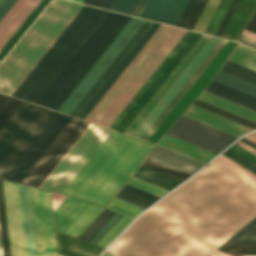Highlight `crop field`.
Segmentation results:
<instances>
[{"instance_id": "obj_1", "label": "crop field", "mask_w": 256, "mask_h": 256, "mask_svg": "<svg viewBox=\"0 0 256 256\" xmlns=\"http://www.w3.org/2000/svg\"><path fill=\"white\" fill-rule=\"evenodd\" d=\"M256 215V175L220 155L140 216L114 256H205Z\"/></svg>"}, {"instance_id": "obj_2", "label": "crop field", "mask_w": 256, "mask_h": 256, "mask_svg": "<svg viewBox=\"0 0 256 256\" xmlns=\"http://www.w3.org/2000/svg\"><path fill=\"white\" fill-rule=\"evenodd\" d=\"M185 32L161 24L85 120L109 128ZM201 36L186 32L110 129L125 131Z\"/></svg>"}, {"instance_id": "obj_3", "label": "crop field", "mask_w": 256, "mask_h": 256, "mask_svg": "<svg viewBox=\"0 0 256 256\" xmlns=\"http://www.w3.org/2000/svg\"><path fill=\"white\" fill-rule=\"evenodd\" d=\"M210 36L203 35L202 38L197 42L193 49L188 53L180 65L175 69L171 76L166 80L162 87L157 91L153 98L148 102L140 114L135 118L131 125L126 129L125 133L132 134V132L137 128L141 121L146 117L150 110L155 106L159 99L164 95L168 88L173 84L177 77L182 73L186 66L191 62L195 55L200 51L204 44L209 40ZM219 38L211 37L210 40L205 44L201 51L196 55L192 62L187 66L183 73L178 77L174 84L169 88L165 95L160 99L156 106L151 110L147 117L142 121L138 128L133 132V136L141 138L146 130L151 126L163 109L168 105L180 88L185 84L193 72L198 68L210 51L219 42ZM227 40L221 39L216 47L211 51L199 68L194 72L182 89L177 93L169 105L164 109L152 126L143 135L142 139L148 140L153 132L158 128L170 111L175 107L187 90L192 86L200 74L205 70L217 53L226 44ZM237 43L228 41L223 49L218 53L206 70L201 74L189 91L184 95L176 107L171 111L159 128L150 137L149 141L157 143L160 137L165 133V131L172 125V123L181 115V113L191 104V102L196 98V96L204 89V87L210 82L217 70L220 68L222 63L228 57L230 52L236 46Z\"/></svg>"}, {"instance_id": "obj_4", "label": "crop field", "mask_w": 256, "mask_h": 256, "mask_svg": "<svg viewBox=\"0 0 256 256\" xmlns=\"http://www.w3.org/2000/svg\"><path fill=\"white\" fill-rule=\"evenodd\" d=\"M154 146L112 131L62 193L105 206Z\"/></svg>"}, {"instance_id": "obj_5", "label": "crop field", "mask_w": 256, "mask_h": 256, "mask_svg": "<svg viewBox=\"0 0 256 256\" xmlns=\"http://www.w3.org/2000/svg\"><path fill=\"white\" fill-rule=\"evenodd\" d=\"M82 6L66 0H53L46 7L0 64V92L12 94Z\"/></svg>"}, {"instance_id": "obj_6", "label": "crop field", "mask_w": 256, "mask_h": 256, "mask_svg": "<svg viewBox=\"0 0 256 256\" xmlns=\"http://www.w3.org/2000/svg\"><path fill=\"white\" fill-rule=\"evenodd\" d=\"M107 12L84 5L12 96L35 103Z\"/></svg>"}, {"instance_id": "obj_7", "label": "crop field", "mask_w": 256, "mask_h": 256, "mask_svg": "<svg viewBox=\"0 0 256 256\" xmlns=\"http://www.w3.org/2000/svg\"><path fill=\"white\" fill-rule=\"evenodd\" d=\"M22 100L0 94V129ZM58 112L23 101L0 130V178L5 179Z\"/></svg>"}, {"instance_id": "obj_8", "label": "crop field", "mask_w": 256, "mask_h": 256, "mask_svg": "<svg viewBox=\"0 0 256 256\" xmlns=\"http://www.w3.org/2000/svg\"><path fill=\"white\" fill-rule=\"evenodd\" d=\"M130 18L109 11L36 104L56 110Z\"/></svg>"}, {"instance_id": "obj_9", "label": "crop field", "mask_w": 256, "mask_h": 256, "mask_svg": "<svg viewBox=\"0 0 256 256\" xmlns=\"http://www.w3.org/2000/svg\"><path fill=\"white\" fill-rule=\"evenodd\" d=\"M110 132L90 123L40 188L61 193Z\"/></svg>"}, {"instance_id": "obj_10", "label": "crop field", "mask_w": 256, "mask_h": 256, "mask_svg": "<svg viewBox=\"0 0 256 256\" xmlns=\"http://www.w3.org/2000/svg\"><path fill=\"white\" fill-rule=\"evenodd\" d=\"M144 22L145 20L134 17L131 18V20L126 24V26L108 46L104 53L99 57L95 64L90 68V70L85 74V76L67 96L63 103L58 107L57 111L67 114L70 113V111L75 107V105L105 71V69L129 42V40L133 37V35L138 31Z\"/></svg>"}, {"instance_id": "obj_11", "label": "crop field", "mask_w": 256, "mask_h": 256, "mask_svg": "<svg viewBox=\"0 0 256 256\" xmlns=\"http://www.w3.org/2000/svg\"><path fill=\"white\" fill-rule=\"evenodd\" d=\"M36 256H57L50 192L29 187Z\"/></svg>"}, {"instance_id": "obj_12", "label": "crop field", "mask_w": 256, "mask_h": 256, "mask_svg": "<svg viewBox=\"0 0 256 256\" xmlns=\"http://www.w3.org/2000/svg\"><path fill=\"white\" fill-rule=\"evenodd\" d=\"M88 124L89 122L73 118L22 183L39 187Z\"/></svg>"}, {"instance_id": "obj_13", "label": "crop field", "mask_w": 256, "mask_h": 256, "mask_svg": "<svg viewBox=\"0 0 256 256\" xmlns=\"http://www.w3.org/2000/svg\"><path fill=\"white\" fill-rule=\"evenodd\" d=\"M167 134L218 154L237 137L198 123L183 116L173 124Z\"/></svg>"}, {"instance_id": "obj_14", "label": "crop field", "mask_w": 256, "mask_h": 256, "mask_svg": "<svg viewBox=\"0 0 256 256\" xmlns=\"http://www.w3.org/2000/svg\"><path fill=\"white\" fill-rule=\"evenodd\" d=\"M104 209L67 197L54 211L55 228L78 237Z\"/></svg>"}, {"instance_id": "obj_15", "label": "crop field", "mask_w": 256, "mask_h": 256, "mask_svg": "<svg viewBox=\"0 0 256 256\" xmlns=\"http://www.w3.org/2000/svg\"><path fill=\"white\" fill-rule=\"evenodd\" d=\"M3 191L12 256H26L18 184L4 181Z\"/></svg>"}, {"instance_id": "obj_16", "label": "crop field", "mask_w": 256, "mask_h": 256, "mask_svg": "<svg viewBox=\"0 0 256 256\" xmlns=\"http://www.w3.org/2000/svg\"><path fill=\"white\" fill-rule=\"evenodd\" d=\"M72 117L59 113L30 151L19 162L6 179L21 183L36 162L62 132Z\"/></svg>"}, {"instance_id": "obj_17", "label": "crop field", "mask_w": 256, "mask_h": 256, "mask_svg": "<svg viewBox=\"0 0 256 256\" xmlns=\"http://www.w3.org/2000/svg\"><path fill=\"white\" fill-rule=\"evenodd\" d=\"M189 0H148L140 17L175 26Z\"/></svg>"}, {"instance_id": "obj_18", "label": "crop field", "mask_w": 256, "mask_h": 256, "mask_svg": "<svg viewBox=\"0 0 256 256\" xmlns=\"http://www.w3.org/2000/svg\"><path fill=\"white\" fill-rule=\"evenodd\" d=\"M159 25H160L159 23H155V22L152 23V25L148 28V30L143 34V36L139 39V41L135 44V46L130 50V52L126 55V57L122 60V62L117 66V68L113 71V73L109 76V78L104 82V84L100 87V89L96 92V94L91 98V100L83 108V110L78 114L77 116L78 118H82V119L85 118V116L94 107V105L98 102V100L102 97V95L107 91V89L111 86V84L115 81V79L120 75V73L124 70V68L128 65V63L133 59V57L137 54V52L141 49V47L146 43V41L150 38V36L154 33V31L159 27Z\"/></svg>"}, {"instance_id": "obj_19", "label": "crop field", "mask_w": 256, "mask_h": 256, "mask_svg": "<svg viewBox=\"0 0 256 256\" xmlns=\"http://www.w3.org/2000/svg\"><path fill=\"white\" fill-rule=\"evenodd\" d=\"M183 116L235 135L237 137L252 130L193 105H191V107L183 114Z\"/></svg>"}, {"instance_id": "obj_20", "label": "crop field", "mask_w": 256, "mask_h": 256, "mask_svg": "<svg viewBox=\"0 0 256 256\" xmlns=\"http://www.w3.org/2000/svg\"><path fill=\"white\" fill-rule=\"evenodd\" d=\"M255 8L256 0H240L221 37L237 40Z\"/></svg>"}, {"instance_id": "obj_21", "label": "crop field", "mask_w": 256, "mask_h": 256, "mask_svg": "<svg viewBox=\"0 0 256 256\" xmlns=\"http://www.w3.org/2000/svg\"><path fill=\"white\" fill-rule=\"evenodd\" d=\"M152 22L146 21L145 24L140 28V30L135 34V36L130 40V42L125 46V48L120 52V54L115 58V60L110 64V66L106 69V71L101 75V77L96 81V83L91 87V89L86 93V95L82 98V100L77 104V106L73 109L70 115L76 117L77 114L81 111V109L86 105V103L90 100V98L94 95V93L99 89V87L103 84V82L107 79V77L112 73V71L116 68V66L120 63V61L125 57V55L129 52V50L133 47V45L138 41V39L142 36V34L146 31V29L151 25Z\"/></svg>"}, {"instance_id": "obj_22", "label": "crop field", "mask_w": 256, "mask_h": 256, "mask_svg": "<svg viewBox=\"0 0 256 256\" xmlns=\"http://www.w3.org/2000/svg\"><path fill=\"white\" fill-rule=\"evenodd\" d=\"M40 0H22L0 26V49Z\"/></svg>"}, {"instance_id": "obj_23", "label": "crop field", "mask_w": 256, "mask_h": 256, "mask_svg": "<svg viewBox=\"0 0 256 256\" xmlns=\"http://www.w3.org/2000/svg\"><path fill=\"white\" fill-rule=\"evenodd\" d=\"M60 256H98L103 248L56 232Z\"/></svg>"}, {"instance_id": "obj_24", "label": "crop field", "mask_w": 256, "mask_h": 256, "mask_svg": "<svg viewBox=\"0 0 256 256\" xmlns=\"http://www.w3.org/2000/svg\"><path fill=\"white\" fill-rule=\"evenodd\" d=\"M149 158L172 166L189 174L193 173L195 170L203 165L182 155L174 153L170 150L162 148L158 145H156Z\"/></svg>"}, {"instance_id": "obj_25", "label": "crop field", "mask_w": 256, "mask_h": 256, "mask_svg": "<svg viewBox=\"0 0 256 256\" xmlns=\"http://www.w3.org/2000/svg\"><path fill=\"white\" fill-rule=\"evenodd\" d=\"M159 145L206 163L216 154L165 134Z\"/></svg>"}, {"instance_id": "obj_26", "label": "crop field", "mask_w": 256, "mask_h": 256, "mask_svg": "<svg viewBox=\"0 0 256 256\" xmlns=\"http://www.w3.org/2000/svg\"><path fill=\"white\" fill-rule=\"evenodd\" d=\"M205 91L256 110V98L211 81Z\"/></svg>"}, {"instance_id": "obj_27", "label": "crop field", "mask_w": 256, "mask_h": 256, "mask_svg": "<svg viewBox=\"0 0 256 256\" xmlns=\"http://www.w3.org/2000/svg\"><path fill=\"white\" fill-rule=\"evenodd\" d=\"M198 99L256 122V111L203 91Z\"/></svg>"}, {"instance_id": "obj_28", "label": "crop field", "mask_w": 256, "mask_h": 256, "mask_svg": "<svg viewBox=\"0 0 256 256\" xmlns=\"http://www.w3.org/2000/svg\"><path fill=\"white\" fill-rule=\"evenodd\" d=\"M19 188H20V196H21L23 221H24L27 255L28 256H35L33 233H32V224H31V216H30V207H29V198H28V190H27L26 185H20L19 184Z\"/></svg>"}, {"instance_id": "obj_29", "label": "crop field", "mask_w": 256, "mask_h": 256, "mask_svg": "<svg viewBox=\"0 0 256 256\" xmlns=\"http://www.w3.org/2000/svg\"><path fill=\"white\" fill-rule=\"evenodd\" d=\"M116 197L128 201L132 204L140 206L144 209L154 203L159 197L150 193L137 189L126 184L124 188L116 195Z\"/></svg>"}, {"instance_id": "obj_30", "label": "crop field", "mask_w": 256, "mask_h": 256, "mask_svg": "<svg viewBox=\"0 0 256 256\" xmlns=\"http://www.w3.org/2000/svg\"><path fill=\"white\" fill-rule=\"evenodd\" d=\"M134 177L170 191L181 181L141 166Z\"/></svg>"}, {"instance_id": "obj_31", "label": "crop field", "mask_w": 256, "mask_h": 256, "mask_svg": "<svg viewBox=\"0 0 256 256\" xmlns=\"http://www.w3.org/2000/svg\"><path fill=\"white\" fill-rule=\"evenodd\" d=\"M213 81L256 97V85L219 70Z\"/></svg>"}, {"instance_id": "obj_32", "label": "crop field", "mask_w": 256, "mask_h": 256, "mask_svg": "<svg viewBox=\"0 0 256 256\" xmlns=\"http://www.w3.org/2000/svg\"><path fill=\"white\" fill-rule=\"evenodd\" d=\"M49 1L50 0H41L39 4L34 8V10L26 18V20L21 24V26L17 29V31L13 34V36L8 40V42L0 50V60L3 59V57L12 48V46L16 43V41L20 38V36L29 27V25L33 22V20L37 17V15L41 12V10L46 6V4Z\"/></svg>"}, {"instance_id": "obj_33", "label": "crop field", "mask_w": 256, "mask_h": 256, "mask_svg": "<svg viewBox=\"0 0 256 256\" xmlns=\"http://www.w3.org/2000/svg\"><path fill=\"white\" fill-rule=\"evenodd\" d=\"M228 60L256 71V50L238 44Z\"/></svg>"}, {"instance_id": "obj_34", "label": "crop field", "mask_w": 256, "mask_h": 256, "mask_svg": "<svg viewBox=\"0 0 256 256\" xmlns=\"http://www.w3.org/2000/svg\"><path fill=\"white\" fill-rule=\"evenodd\" d=\"M193 105L198 106V107H200V108H203V109H205V110H208V111H210V112H213V113H215V114H218V115H220V116H223V117H225V118H227V119H230V120H232V121H235V122H237V123H240V124H242V125H245V126H247V127H250V128H252V129H255V128H256V123H255V122H252V121H250V120H247V119H245V118H242V117H240V116H237V115H235V114H232V113H230V112H228V111H225V110H223V109H220V108H218V107H215V106H213V105H210V104H208V103H205V102L200 101V100H198V99L195 100V102L193 103Z\"/></svg>"}, {"instance_id": "obj_35", "label": "crop field", "mask_w": 256, "mask_h": 256, "mask_svg": "<svg viewBox=\"0 0 256 256\" xmlns=\"http://www.w3.org/2000/svg\"><path fill=\"white\" fill-rule=\"evenodd\" d=\"M115 212L104 210L92 224L79 236L88 242L102 229V227L111 219Z\"/></svg>"}, {"instance_id": "obj_36", "label": "crop field", "mask_w": 256, "mask_h": 256, "mask_svg": "<svg viewBox=\"0 0 256 256\" xmlns=\"http://www.w3.org/2000/svg\"><path fill=\"white\" fill-rule=\"evenodd\" d=\"M218 250L224 253L256 254V243L227 241Z\"/></svg>"}, {"instance_id": "obj_37", "label": "crop field", "mask_w": 256, "mask_h": 256, "mask_svg": "<svg viewBox=\"0 0 256 256\" xmlns=\"http://www.w3.org/2000/svg\"><path fill=\"white\" fill-rule=\"evenodd\" d=\"M221 70L256 84V72L226 60Z\"/></svg>"}, {"instance_id": "obj_38", "label": "crop field", "mask_w": 256, "mask_h": 256, "mask_svg": "<svg viewBox=\"0 0 256 256\" xmlns=\"http://www.w3.org/2000/svg\"><path fill=\"white\" fill-rule=\"evenodd\" d=\"M143 166L148 167L153 170H156V171L166 174L168 176L174 177L181 181L185 180L189 176V174H187V173H184V172L174 169L172 167L166 166L164 164H161V163L151 160L149 158H147V160L144 162Z\"/></svg>"}, {"instance_id": "obj_39", "label": "crop field", "mask_w": 256, "mask_h": 256, "mask_svg": "<svg viewBox=\"0 0 256 256\" xmlns=\"http://www.w3.org/2000/svg\"><path fill=\"white\" fill-rule=\"evenodd\" d=\"M0 227H1V236H2L4 256H11L1 180H0Z\"/></svg>"}, {"instance_id": "obj_40", "label": "crop field", "mask_w": 256, "mask_h": 256, "mask_svg": "<svg viewBox=\"0 0 256 256\" xmlns=\"http://www.w3.org/2000/svg\"><path fill=\"white\" fill-rule=\"evenodd\" d=\"M220 0H209L202 14L200 15L193 30L204 33L213 13L215 12Z\"/></svg>"}, {"instance_id": "obj_41", "label": "crop field", "mask_w": 256, "mask_h": 256, "mask_svg": "<svg viewBox=\"0 0 256 256\" xmlns=\"http://www.w3.org/2000/svg\"><path fill=\"white\" fill-rule=\"evenodd\" d=\"M132 220L122 216L116 224L103 236L97 243L103 247H107L109 243L131 222Z\"/></svg>"}, {"instance_id": "obj_42", "label": "crop field", "mask_w": 256, "mask_h": 256, "mask_svg": "<svg viewBox=\"0 0 256 256\" xmlns=\"http://www.w3.org/2000/svg\"><path fill=\"white\" fill-rule=\"evenodd\" d=\"M232 0H221L215 14L213 15L205 33L214 35L218 25L220 24L223 16L225 15Z\"/></svg>"}, {"instance_id": "obj_43", "label": "crop field", "mask_w": 256, "mask_h": 256, "mask_svg": "<svg viewBox=\"0 0 256 256\" xmlns=\"http://www.w3.org/2000/svg\"><path fill=\"white\" fill-rule=\"evenodd\" d=\"M228 240L256 241V217L253 218Z\"/></svg>"}, {"instance_id": "obj_44", "label": "crop field", "mask_w": 256, "mask_h": 256, "mask_svg": "<svg viewBox=\"0 0 256 256\" xmlns=\"http://www.w3.org/2000/svg\"><path fill=\"white\" fill-rule=\"evenodd\" d=\"M222 155L226 156L227 158L233 160L234 162L256 174V164L243 157L242 155L238 154L234 150L229 148Z\"/></svg>"}, {"instance_id": "obj_45", "label": "crop field", "mask_w": 256, "mask_h": 256, "mask_svg": "<svg viewBox=\"0 0 256 256\" xmlns=\"http://www.w3.org/2000/svg\"><path fill=\"white\" fill-rule=\"evenodd\" d=\"M128 184H130V185H133V186H135V187H137V188H140V189H142V190H145V191H147V192H150V193H152V194H154V195H157V196H159V197H161V196H163L164 194H166L168 191H166V190H163V189H161V188H158V187H156V186H153V185H151V184H149V183H146V182H144V181H141V180H139V179H136V178H134V177H132L131 179H130V181L128 182Z\"/></svg>"}, {"instance_id": "obj_46", "label": "crop field", "mask_w": 256, "mask_h": 256, "mask_svg": "<svg viewBox=\"0 0 256 256\" xmlns=\"http://www.w3.org/2000/svg\"><path fill=\"white\" fill-rule=\"evenodd\" d=\"M207 0H199L193 13L191 14L185 28L186 29H190L192 30L196 20L198 19L202 9L204 8L205 4H206ZM184 28V27H183Z\"/></svg>"}, {"instance_id": "obj_47", "label": "crop field", "mask_w": 256, "mask_h": 256, "mask_svg": "<svg viewBox=\"0 0 256 256\" xmlns=\"http://www.w3.org/2000/svg\"><path fill=\"white\" fill-rule=\"evenodd\" d=\"M198 0H190L177 26L184 27ZM176 26V25H175Z\"/></svg>"}, {"instance_id": "obj_48", "label": "crop field", "mask_w": 256, "mask_h": 256, "mask_svg": "<svg viewBox=\"0 0 256 256\" xmlns=\"http://www.w3.org/2000/svg\"><path fill=\"white\" fill-rule=\"evenodd\" d=\"M238 1H239V0H233L231 6L229 7V9H228L226 15H225L224 18H223V20H222L220 26L218 27V29H217V31H216V33H215V36H218V37H219L220 34L222 33V31H223V29H224L226 23L228 22V20H229L231 14H232V12L234 11V9H235V7H236Z\"/></svg>"}, {"instance_id": "obj_49", "label": "crop field", "mask_w": 256, "mask_h": 256, "mask_svg": "<svg viewBox=\"0 0 256 256\" xmlns=\"http://www.w3.org/2000/svg\"><path fill=\"white\" fill-rule=\"evenodd\" d=\"M111 203L116 204V205H118V206H120V207H123V208H125V209H128V210H130V211H132V212H135V213H137V214H140V213L144 210V209H142V208H140V207H137V206H135V205H132V204H130V203H128V202H125V201H123V200H120V199H118V198H116V197L113 198V200L111 201Z\"/></svg>"}, {"instance_id": "obj_50", "label": "crop field", "mask_w": 256, "mask_h": 256, "mask_svg": "<svg viewBox=\"0 0 256 256\" xmlns=\"http://www.w3.org/2000/svg\"><path fill=\"white\" fill-rule=\"evenodd\" d=\"M131 0H114L110 9L125 13Z\"/></svg>"}, {"instance_id": "obj_51", "label": "crop field", "mask_w": 256, "mask_h": 256, "mask_svg": "<svg viewBox=\"0 0 256 256\" xmlns=\"http://www.w3.org/2000/svg\"><path fill=\"white\" fill-rule=\"evenodd\" d=\"M16 1L17 0H0V20Z\"/></svg>"}, {"instance_id": "obj_52", "label": "crop field", "mask_w": 256, "mask_h": 256, "mask_svg": "<svg viewBox=\"0 0 256 256\" xmlns=\"http://www.w3.org/2000/svg\"><path fill=\"white\" fill-rule=\"evenodd\" d=\"M106 207H108V208H110V209H112L114 211H117V212H119V213H121L123 215H126V216H128V217H130L132 219H134L137 216V214L132 213V212H130L128 210H125L123 208H120V207H118L116 205H113L111 203H109Z\"/></svg>"}, {"instance_id": "obj_53", "label": "crop field", "mask_w": 256, "mask_h": 256, "mask_svg": "<svg viewBox=\"0 0 256 256\" xmlns=\"http://www.w3.org/2000/svg\"><path fill=\"white\" fill-rule=\"evenodd\" d=\"M230 148L234 149L238 153L242 154L243 156L247 157L248 159H250L256 163V157L254 155L250 154L249 152L245 151L244 149L240 148L239 146L234 144Z\"/></svg>"}, {"instance_id": "obj_54", "label": "crop field", "mask_w": 256, "mask_h": 256, "mask_svg": "<svg viewBox=\"0 0 256 256\" xmlns=\"http://www.w3.org/2000/svg\"><path fill=\"white\" fill-rule=\"evenodd\" d=\"M112 1L113 0H94L92 5L93 6H97V7H102V8L109 9Z\"/></svg>"}, {"instance_id": "obj_55", "label": "crop field", "mask_w": 256, "mask_h": 256, "mask_svg": "<svg viewBox=\"0 0 256 256\" xmlns=\"http://www.w3.org/2000/svg\"><path fill=\"white\" fill-rule=\"evenodd\" d=\"M53 197V207L54 210L60 205V203L66 198L65 196L59 195L57 193L52 192Z\"/></svg>"}, {"instance_id": "obj_56", "label": "crop field", "mask_w": 256, "mask_h": 256, "mask_svg": "<svg viewBox=\"0 0 256 256\" xmlns=\"http://www.w3.org/2000/svg\"><path fill=\"white\" fill-rule=\"evenodd\" d=\"M238 40L241 41V42H243V43H245V44H248V45H250V46L256 48V41L253 40V39H250V38H248V37H245V36L241 35ZM239 41H238V42H239ZM241 42H240V43H241Z\"/></svg>"}, {"instance_id": "obj_57", "label": "crop field", "mask_w": 256, "mask_h": 256, "mask_svg": "<svg viewBox=\"0 0 256 256\" xmlns=\"http://www.w3.org/2000/svg\"><path fill=\"white\" fill-rule=\"evenodd\" d=\"M146 1H147V0H140L138 6L136 7V9H135V11H134V13H133V16L139 17V15H140V13H141V11H142V9H143V7H144Z\"/></svg>"}, {"instance_id": "obj_58", "label": "crop field", "mask_w": 256, "mask_h": 256, "mask_svg": "<svg viewBox=\"0 0 256 256\" xmlns=\"http://www.w3.org/2000/svg\"><path fill=\"white\" fill-rule=\"evenodd\" d=\"M235 144L239 145L240 147L244 148L245 150L249 151L250 153H252L256 156V150H254L253 148L242 143L240 140L238 142H236Z\"/></svg>"}, {"instance_id": "obj_59", "label": "crop field", "mask_w": 256, "mask_h": 256, "mask_svg": "<svg viewBox=\"0 0 256 256\" xmlns=\"http://www.w3.org/2000/svg\"><path fill=\"white\" fill-rule=\"evenodd\" d=\"M139 0H132L130 6L128 7L127 11H126V14H130L132 15L135 7L137 6Z\"/></svg>"}, {"instance_id": "obj_60", "label": "crop field", "mask_w": 256, "mask_h": 256, "mask_svg": "<svg viewBox=\"0 0 256 256\" xmlns=\"http://www.w3.org/2000/svg\"><path fill=\"white\" fill-rule=\"evenodd\" d=\"M119 214H115L114 216H113V218L104 226V228L95 236V238L91 241V243H93L98 237H99V235L112 223V221L118 216Z\"/></svg>"}, {"instance_id": "obj_61", "label": "crop field", "mask_w": 256, "mask_h": 256, "mask_svg": "<svg viewBox=\"0 0 256 256\" xmlns=\"http://www.w3.org/2000/svg\"><path fill=\"white\" fill-rule=\"evenodd\" d=\"M246 29L256 32V22L250 20V22L246 26Z\"/></svg>"}, {"instance_id": "obj_62", "label": "crop field", "mask_w": 256, "mask_h": 256, "mask_svg": "<svg viewBox=\"0 0 256 256\" xmlns=\"http://www.w3.org/2000/svg\"><path fill=\"white\" fill-rule=\"evenodd\" d=\"M121 217V215H119L114 221L113 223L100 235V237L94 242V244H96L101 238L102 236L115 224V222Z\"/></svg>"}, {"instance_id": "obj_63", "label": "crop field", "mask_w": 256, "mask_h": 256, "mask_svg": "<svg viewBox=\"0 0 256 256\" xmlns=\"http://www.w3.org/2000/svg\"><path fill=\"white\" fill-rule=\"evenodd\" d=\"M21 0H18L13 7L7 12V14L3 17V19L0 21V25L4 22V20L8 17V15L13 11V9L17 6V4L20 2Z\"/></svg>"}, {"instance_id": "obj_64", "label": "crop field", "mask_w": 256, "mask_h": 256, "mask_svg": "<svg viewBox=\"0 0 256 256\" xmlns=\"http://www.w3.org/2000/svg\"><path fill=\"white\" fill-rule=\"evenodd\" d=\"M244 138L250 140L251 142L255 143L256 144V132L254 133H251L247 136H245Z\"/></svg>"}, {"instance_id": "obj_65", "label": "crop field", "mask_w": 256, "mask_h": 256, "mask_svg": "<svg viewBox=\"0 0 256 256\" xmlns=\"http://www.w3.org/2000/svg\"><path fill=\"white\" fill-rule=\"evenodd\" d=\"M243 35L248 36V37L253 38V39L256 40V33H253V32L248 31L246 29L244 30Z\"/></svg>"}, {"instance_id": "obj_66", "label": "crop field", "mask_w": 256, "mask_h": 256, "mask_svg": "<svg viewBox=\"0 0 256 256\" xmlns=\"http://www.w3.org/2000/svg\"><path fill=\"white\" fill-rule=\"evenodd\" d=\"M208 256H228V255H225L217 250H215L214 252H212L211 254H209Z\"/></svg>"}, {"instance_id": "obj_67", "label": "crop field", "mask_w": 256, "mask_h": 256, "mask_svg": "<svg viewBox=\"0 0 256 256\" xmlns=\"http://www.w3.org/2000/svg\"><path fill=\"white\" fill-rule=\"evenodd\" d=\"M240 140L244 141L245 143L249 144L250 146L254 147L256 149V145H254L253 143L249 142L248 140L241 138Z\"/></svg>"}, {"instance_id": "obj_68", "label": "crop field", "mask_w": 256, "mask_h": 256, "mask_svg": "<svg viewBox=\"0 0 256 256\" xmlns=\"http://www.w3.org/2000/svg\"><path fill=\"white\" fill-rule=\"evenodd\" d=\"M0 256H3V253H2V244H1V236H0Z\"/></svg>"}, {"instance_id": "obj_69", "label": "crop field", "mask_w": 256, "mask_h": 256, "mask_svg": "<svg viewBox=\"0 0 256 256\" xmlns=\"http://www.w3.org/2000/svg\"><path fill=\"white\" fill-rule=\"evenodd\" d=\"M92 1H93V0H85L84 3L91 5Z\"/></svg>"}, {"instance_id": "obj_70", "label": "crop field", "mask_w": 256, "mask_h": 256, "mask_svg": "<svg viewBox=\"0 0 256 256\" xmlns=\"http://www.w3.org/2000/svg\"><path fill=\"white\" fill-rule=\"evenodd\" d=\"M252 20L256 21V12L254 13Z\"/></svg>"}, {"instance_id": "obj_71", "label": "crop field", "mask_w": 256, "mask_h": 256, "mask_svg": "<svg viewBox=\"0 0 256 256\" xmlns=\"http://www.w3.org/2000/svg\"><path fill=\"white\" fill-rule=\"evenodd\" d=\"M103 256H112V255L105 252V254Z\"/></svg>"}, {"instance_id": "obj_72", "label": "crop field", "mask_w": 256, "mask_h": 256, "mask_svg": "<svg viewBox=\"0 0 256 256\" xmlns=\"http://www.w3.org/2000/svg\"><path fill=\"white\" fill-rule=\"evenodd\" d=\"M74 1H78V2H81V3H83V1H84V0H74Z\"/></svg>"}]
</instances>
